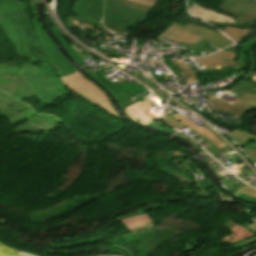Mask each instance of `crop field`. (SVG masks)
<instances>
[{"mask_svg":"<svg viewBox=\"0 0 256 256\" xmlns=\"http://www.w3.org/2000/svg\"><path fill=\"white\" fill-rule=\"evenodd\" d=\"M151 8L127 0H106L103 24L110 30L124 33L131 26L145 22Z\"/></svg>","mask_w":256,"mask_h":256,"instance_id":"1","label":"crop field"},{"mask_svg":"<svg viewBox=\"0 0 256 256\" xmlns=\"http://www.w3.org/2000/svg\"><path fill=\"white\" fill-rule=\"evenodd\" d=\"M60 80L81 98L120 118L115 112L110 100L107 99L104 93L94 84H92L87 78L82 76L79 71L65 76Z\"/></svg>","mask_w":256,"mask_h":256,"instance_id":"2","label":"crop field"},{"mask_svg":"<svg viewBox=\"0 0 256 256\" xmlns=\"http://www.w3.org/2000/svg\"><path fill=\"white\" fill-rule=\"evenodd\" d=\"M256 85L246 81L230 89L232 93L237 94L229 103L212 97V93H208V98L219 111H226L230 114H240L249 109L256 107ZM217 93V92H213ZM223 111V112H224Z\"/></svg>","mask_w":256,"mask_h":256,"instance_id":"3","label":"crop field"},{"mask_svg":"<svg viewBox=\"0 0 256 256\" xmlns=\"http://www.w3.org/2000/svg\"><path fill=\"white\" fill-rule=\"evenodd\" d=\"M38 39L45 50L47 59L56 68L60 78L77 71L75 67L60 53L50 38L44 32L38 18H32Z\"/></svg>","mask_w":256,"mask_h":256,"instance_id":"4","label":"crop field"},{"mask_svg":"<svg viewBox=\"0 0 256 256\" xmlns=\"http://www.w3.org/2000/svg\"><path fill=\"white\" fill-rule=\"evenodd\" d=\"M159 36L190 45V46L186 47V51L190 50V49H196V48H201L202 50H204L206 52L209 51L211 53L214 51H217L215 48H213L207 44L211 41H208L201 37L190 34L186 31L178 29L174 26H170L165 32H163ZM211 43H213V42H211ZM213 44H215V43H213ZM215 45H217V44H215ZM217 46H219L221 49L224 48L220 45H217Z\"/></svg>","mask_w":256,"mask_h":256,"instance_id":"5","label":"crop field"},{"mask_svg":"<svg viewBox=\"0 0 256 256\" xmlns=\"http://www.w3.org/2000/svg\"><path fill=\"white\" fill-rule=\"evenodd\" d=\"M219 8L239 16L234 20L237 23H246L256 20V1L225 0L223 6Z\"/></svg>","mask_w":256,"mask_h":256,"instance_id":"6","label":"crop field"},{"mask_svg":"<svg viewBox=\"0 0 256 256\" xmlns=\"http://www.w3.org/2000/svg\"><path fill=\"white\" fill-rule=\"evenodd\" d=\"M103 8V0H78L73 6V10L77 15L94 23L101 21Z\"/></svg>","mask_w":256,"mask_h":256,"instance_id":"7","label":"crop field"},{"mask_svg":"<svg viewBox=\"0 0 256 256\" xmlns=\"http://www.w3.org/2000/svg\"><path fill=\"white\" fill-rule=\"evenodd\" d=\"M172 25L178 27V28H181L183 30H186L190 33H193V34H196L198 36H201V37H204L206 39H209L215 43H218L224 47H227L229 46V39H227L225 36H223L222 34L216 32V31H213V30H210V29H207V28H204V27H201V26H198V25H194V24H189L187 26H181L177 23H173Z\"/></svg>","mask_w":256,"mask_h":256,"instance_id":"8","label":"crop field"},{"mask_svg":"<svg viewBox=\"0 0 256 256\" xmlns=\"http://www.w3.org/2000/svg\"><path fill=\"white\" fill-rule=\"evenodd\" d=\"M95 79L105 85L113 93L114 96L123 92L133 98L147 91L145 88L138 84H114L103 75Z\"/></svg>","mask_w":256,"mask_h":256,"instance_id":"9","label":"crop field"},{"mask_svg":"<svg viewBox=\"0 0 256 256\" xmlns=\"http://www.w3.org/2000/svg\"><path fill=\"white\" fill-rule=\"evenodd\" d=\"M189 11L194 15L206 21H218L224 23H235L232 18L221 15L219 13L204 9L195 3L189 5Z\"/></svg>","mask_w":256,"mask_h":256,"instance_id":"10","label":"crop field"},{"mask_svg":"<svg viewBox=\"0 0 256 256\" xmlns=\"http://www.w3.org/2000/svg\"><path fill=\"white\" fill-rule=\"evenodd\" d=\"M235 52L221 51L219 53L196 59L197 62L203 65H221V64H232L234 61Z\"/></svg>","mask_w":256,"mask_h":256,"instance_id":"11","label":"crop field"},{"mask_svg":"<svg viewBox=\"0 0 256 256\" xmlns=\"http://www.w3.org/2000/svg\"><path fill=\"white\" fill-rule=\"evenodd\" d=\"M173 117L178 119L179 121H181L183 124H185L187 127L191 128L195 132L199 133L201 136L206 138L208 141H210L217 147L220 148V147L226 145L219 138H217L212 132H210L208 129H206L204 126L199 128L195 124L191 123L190 121H188L187 119L183 118L182 116H180L178 114Z\"/></svg>","mask_w":256,"mask_h":256,"instance_id":"12","label":"crop field"},{"mask_svg":"<svg viewBox=\"0 0 256 256\" xmlns=\"http://www.w3.org/2000/svg\"><path fill=\"white\" fill-rule=\"evenodd\" d=\"M225 134L229 136L235 142V144L239 147L243 145V143L247 140L248 137L256 140V136L246 134L242 131H230ZM240 141H242V143H240Z\"/></svg>","mask_w":256,"mask_h":256,"instance_id":"13","label":"crop field"},{"mask_svg":"<svg viewBox=\"0 0 256 256\" xmlns=\"http://www.w3.org/2000/svg\"><path fill=\"white\" fill-rule=\"evenodd\" d=\"M52 31L55 33L57 38L60 40V42L63 44V46L66 48V50L69 52V54L72 56V58L77 61L80 64H84L85 62L78 56V54L70 47V45L66 42V40L60 35V33L53 28Z\"/></svg>","mask_w":256,"mask_h":256,"instance_id":"14","label":"crop field"},{"mask_svg":"<svg viewBox=\"0 0 256 256\" xmlns=\"http://www.w3.org/2000/svg\"><path fill=\"white\" fill-rule=\"evenodd\" d=\"M249 29H237L232 27H227L225 30L226 34L230 36L233 40L239 43L241 40L240 36H245Z\"/></svg>","mask_w":256,"mask_h":256,"instance_id":"15","label":"crop field"},{"mask_svg":"<svg viewBox=\"0 0 256 256\" xmlns=\"http://www.w3.org/2000/svg\"><path fill=\"white\" fill-rule=\"evenodd\" d=\"M246 228L251 230V231H253L254 233H256V222L250 224ZM255 242H256V237H253V238H250V239H247V240L235 243L233 245H234L235 248H240V247H244V246H247V245L255 243Z\"/></svg>","mask_w":256,"mask_h":256,"instance_id":"16","label":"crop field"},{"mask_svg":"<svg viewBox=\"0 0 256 256\" xmlns=\"http://www.w3.org/2000/svg\"><path fill=\"white\" fill-rule=\"evenodd\" d=\"M115 98H117L122 109L135 102L131 97H129L123 93L116 96Z\"/></svg>","mask_w":256,"mask_h":256,"instance_id":"17","label":"crop field"},{"mask_svg":"<svg viewBox=\"0 0 256 256\" xmlns=\"http://www.w3.org/2000/svg\"><path fill=\"white\" fill-rule=\"evenodd\" d=\"M124 112L126 113L127 116H130L133 120L139 122L126 108H125ZM140 123H141V122H140ZM143 123H144V124H147V125H149V126L157 127V128H160V129H163V130L172 132V133L175 132V131H173V130H172L171 128H169V127H161V126L156 125V124L154 123V121L151 120V119H150L149 121L143 122Z\"/></svg>","mask_w":256,"mask_h":256,"instance_id":"18","label":"crop field"},{"mask_svg":"<svg viewBox=\"0 0 256 256\" xmlns=\"http://www.w3.org/2000/svg\"><path fill=\"white\" fill-rule=\"evenodd\" d=\"M19 251L11 249L6 245L0 243V256H18L16 255Z\"/></svg>","mask_w":256,"mask_h":256,"instance_id":"19","label":"crop field"},{"mask_svg":"<svg viewBox=\"0 0 256 256\" xmlns=\"http://www.w3.org/2000/svg\"><path fill=\"white\" fill-rule=\"evenodd\" d=\"M237 192H239L243 195H247V196L256 198V190L247 185L244 186L243 188L239 189Z\"/></svg>","mask_w":256,"mask_h":256,"instance_id":"20","label":"crop field"},{"mask_svg":"<svg viewBox=\"0 0 256 256\" xmlns=\"http://www.w3.org/2000/svg\"><path fill=\"white\" fill-rule=\"evenodd\" d=\"M165 120L173 127L177 128V129H181L182 127H184L185 125H183L181 122L177 121L176 119H174L173 117L165 114Z\"/></svg>","mask_w":256,"mask_h":256,"instance_id":"21","label":"crop field"},{"mask_svg":"<svg viewBox=\"0 0 256 256\" xmlns=\"http://www.w3.org/2000/svg\"><path fill=\"white\" fill-rule=\"evenodd\" d=\"M132 2H137V3H142V4H146V5H150L153 6L155 0H129Z\"/></svg>","mask_w":256,"mask_h":256,"instance_id":"22","label":"crop field"},{"mask_svg":"<svg viewBox=\"0 0 256 256\" xmlns=\"http://www.w3.org/2000/svg\"><path fill=\"white\" fill-rule=\"evenodd\" d=\"M18 255H22V256H37V255H33V254H30V253H27V252H23V251H20L18 253ZM104 256V255H102ZM113 256H117V255H113Z\"/></svg>","mask_w":256,"mask_h":256,"instance_id":"23","label":"crop field"},{"mask_svg":"<svg viewBox=\"0 0 256 256\" xmlns=\"http://www.w3.org/2000/svg\"><path fill=\"white\" fill-rule=\"evenodd\" d=\"M218 149H219V148H217V147L214 146V145H212V146L206 148V150H208L210 153H212V152H214V151H216V150H218Z\"/></svg>","mask_w":256,"mask_h":256,"instance_id":"24","label":"crop field"},{"mask_svg":"<svg viewBox=\"0 0 256 256\" xmlns=\"http://www.w3.org/2000/svg\"><path fill=\"white\" fill-rule=\"evenodd\" d=\"M97 27L100 28V29H102V30L105 31L106 33H109V34H111V35L117 36V35H115V34L109 32L108 30H106L107 28L105 29L104 27L100 26L99 24L97 25Z\"/></svg>","mask_w":256,"mask_h":256,"instance_id":"25","label":"crop field"},{"mask_svg":"<svg viewBox=\"0 0 256 256\" xmlns=\"http://www.w3.org/2000/svg\"><path fill=\"white\" fill-rule=\"evenodd\" d=\"M227 173H229V172L226 171V170L219 172V174H220L221 176H223V175H225V174H227Z\"/></svg>","mask_w":256,"mask_h":256,"instance_id":"26","label":"crop field"}]
</instances>
